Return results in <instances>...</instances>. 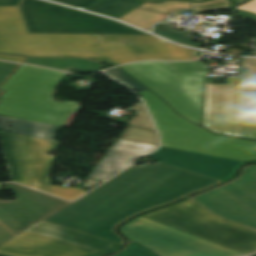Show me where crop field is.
Wrapping results in <instances>:
<instances>
[{"instance_id":"crop-field-32","label":"crop field","mask_w":256,"mask_h":256,"mask_svg":"<svg viewBox=\"0 0 256 256\" xmlns=\"http://www.w3.org/2000/svg\"><path fill=\"white\" fill-rule=\"evenodd\" d=\"M20 0H0V6H18Z\"/></svg>"},{"instance_id":"crop-field-7","label":"crop field","mask_w":256,"mask_h":256,"mask_svg":"<svg viewBox=\"0 0 256 256\" xmlns=\"http://www.w3.org/2000/svg\"><path fill=\"white\" fill-rule=\"evenodd\" d=\"M181 116L200 125L203 86L209 72L173 73L169 62H139L121 66Z\"/></svg>"},{"instance_id":"crop-field-16","label":"crop field","mask_w":256,"mask_h":256,"mask_svg":"<svg viewBox=\"0 0 256 256\" xmlns=\"http://www.w3.org/2000/svg\"><path fill=\"white\" fill-rule=\"evenodd\" d=\"M158 146L120 139L89 177L108 179Z\"/></svg>"},{"instance_id":"crop-field-12","label":"crop field","mask_w":256,"mask_h":256,"mask_svg":"<svg viewBox=\"0 0 256 256\" xmlns=\"http://www.w3.org/2000/svg\"><path fill=\"white\" fill-rule=\"evenodd\" d=\"M6 185L16 200L0 201V223L15 236L69 203L18 184Z\"/></svg>"},{"instance_id":"crop-field-10","label":"crop field","mask_w":256,"mask_h":256,"mask_svg":"<svg viewBox=\"0 0 256 256\" xmlns=\"http://www.w3.org/2000/svg\"><path fill=\"white\" fill-rule=\"evenodd\" d=\"M120 230L129 240H138L161 256L244 255L140 216L123 224Z\"/></svg>"},{"instance_id":"crop-field-28","label":"crop field","mask_w":256,"mask_h":256,"mask_svg":"<svg viewBox=\"0 0 256 256\" xmlns=\"http://www.w3.org/2000/svg\"><path fill=\"white\" fill-rule=\"evenodd\" d=\"M237 10H241L244 12H248V13H255L256 14V0H251L241 6H239L238 8H236Z\"/></svg>"},{"instance_id":"crop-field-30","label":"crop field","mask_w":256,"mask_h":256,"mask_svg":"<svg viewBox=\"0 0 256 256\" xmlns=\"http://www.w3.org/2000/svg\"><path fill=\"white\" fill-rule=\"evenodd\" d=\"M0 130L10 132L9 118L0 116Z\"/></svg>"},{"instance_id":"crop-field-5","label":"crop field","mask_w":256,"mask_h":256,"mask_svg":"<svg viewBox=\"0 0 256 256\" xmlns=\"http://www.w3.org/2000/svg\"><path fill=\"white\" fill-rule=\"evenodd\" d=\"M141 216L244 254L256 251V231L223 220L189 199Z\"/></svg>"},{"instance_id":"crop-field-11","label":"crop field","mask_w":256,"mask_h":256,"mask_svg":"<svg viewBox=\"0 0 256 256\" xmlns=\"http://www.w3.org/2000/svg\"><path fill=\"white\" fill-rule=\"evenodd\" d=\"M215 215L256 230V165L224 186L190 198Z\"/></svg>"},{"instance_id":"crop-field-14","label":"crop field","mask_w":256,"mask_h":256,"mask_svg":"<svg viewBox=\"0 0 256 256\" xmlns=\"http://www.w3.org/2000/svg\"><path fill=\"white\" fill-rule=\"evenodd\" d=\"M0 254L8 256H92L107 253L26 230L1 246Z\"/></svg>"},{"instance_id":"crop-field-8","label":"crop field","mask_w":256,"mask_h":256,"mask_svg":"<svg viewBox=\"0 0 256 256\" xmlns=\"http://www.w3.org/2000/svg\"><path fill=\"white\" fill-rule=\"evenodd\" d=\"M0 138L12 181L66 200H75L87 192L71 187L52 186L48 181L54 156L44 154L49 150L57 149V142L13 135L2 131H0ZM32 182H37L35 187L31 186Z\"/></svg>"},{"instance_id":"crop-field-27","label":"crop field","mask_w":256,"mask_h":256,"mask_svg":"<svg viewBox=\"0 0 256 256\" xmlns=\"http://www.w3.org/2000/svg\"><path fill=\"white\" fill-rule=\"evenodd\" d=\"M21 65L0 61V85L13 74ZM2 91H0V95Z\"/></svg>"},{"instance_id":"crop-field-29","label":"crop field","mask_w":256,"mask_h":256,"mask_svg":"<svg viewBox=\"0 0 256 256\" xmlns=\"http://www.w3.org/2000/svg\"><path fill=\"white\" fill-rule=\"evenodd\" d=\"M4 228L0 225V246L14 238L7 230H5L6 228Z\"/></svg>"},{"instance_id":"crop-field-26","label":"crop field","mask_w":256,"mask_h":256,"mask_svg":"<svg viewBox=\"0 0 256 256\" xmlns=\"http://www.w3.org/2000/svg\"><path fill=\"white\" fill-rule=\"evenodd\" d=\"M174 72L210 71L203 62H170Z\"/></svg>"},{"instance_id":"crop-field-2","label":"crop field","mask_w":256,"mask_h":256,"mask_svg":"<svg viewBox=\"0 0 256 256\" xmlns=\"http://www.w3.org/2000/svg\"><path fill=\"white\" fill-rule=\"evenodd\" d=\"M0 53L78 56L109 64L192 60L195 50L172 43H98L97 35L28 34L19 7H0Z\"/></svg>"},{"instance_id":"crop-field-9","label":"crop field","mask_w":256,"mask_h":256,"mask_svg":"<svg viewBox=\"0 0 256 256\" xmlns=\"http://www.w3.org/2000/svg\"><path fill=\"white\" fill-rule=\"evenodd\" d=\"M20 9L29 33L149 35L117 21L42 0H23Z\"/></svg>"},{"instance_id":"crop-field-24","label":"crop field","mask_w":256,"mask_h":256,"mask_svg":"<svg viewBox=\"0 0 256 256\" xmlns=\"http://www.w3.org/2000/svg\"><path fill=\"white\" fill-rule=\"evenodd\" d=\"M105 72L114 79L124 83L125 85L129 86L130 88L136 91L148 90L118 67L110 69Z\"/></svg>"},{"instance_id":"crop-field-6","label":"crop field","mask_w":256,"mask_h":256,"mask_svg":"<svg viewBox=\"0 0 256 256\" xmlns=\"http://www.w3.org/2000/svg\"><path fill=\"white\" fill-rule=\"evenodd\" d=\"M201 126L256 140V91L236 89V78L226 85L205 84Z\"/></svg>"},{"instance_id":"crop-field-17","label":"crop field","mask_w":256,"mask_h":256,"mask_svg":"<svg viewBox=\"0 0 256 256\" xmlns=\"http://www.w3.org/2000/svg\"><path fill=\"white\" fill-rule=\"evenodd\" d=\"M27 230L107 253L115 251L122 246L121 244H117L111 241L93 237L87 234L76 232L42 221L38 222Z\"/></svg>"},{"instance_id":"crop-field-34","label":"crop field","mask_w":256,"mask_h":256,"mask_svg":"<svg viewBox=\"0 0 256 256\" xmlns=\"http://www.w3.org/2000/svg\"><path fill=\"white\" fill-rule=\"evenodd\" d=\"M166 16L172 17V15H165V16H162V17H159V18L154 19L153 23L159 21L160 19H162V18H164V17H166Z\"/></svg>"},{"instance_id":"crop-field-21","label":"crop field","mask_w":256,"mask_h":256,"mask_svg":"<svg viewBox=\"0 0 256 256\" xmlns=\"http://www.w3.org/2000/svg\"><path fill=\"white\" fill-rule=\"evenodd\" d=\"M122 138L158 145V136L156 133L130 126L126 128Z\"/></svg>"},{"instance_id":"crop-field-4","label":"crop field","mask_w":256,"mask_h":256,"mask_svg":"<svg viewBox=\"0 0 256 256\" xmlns=\"http://www.w3.org/2000/svg\"><path fill=\"white\" fill-rule=\"evenodd\" d=\"M139 95L145 99L161 134L162 146L246 162L256 160V142L214 135L174 113L150 91Z\"/></svg>"},{"instance_id":"crop-field-25","label":"crop field","mask_w":256,"mask_h":256,"mask_svg":"<svg viewBox=\"0 0 256 256\" xmlns=\"http://www.w3.org/2000/svg\"><path fill=\"white\" fill-rule=\"evenodd\" d=\"M130 110L137 111V118H132L129 123L130 125L154 130L142 101Z\"/></svg>"},{"instance_id":"crop-field-31","label":"crop field","mask_w":256,"mask_h":256,"mask_svg":"<svg viewBox=\"0 0 256 256\" xmlns=\"http://www.w3.org/2000/svg\"><path fill=\"white\" fill-rule=\"evenodd\" d=\"M27 59V57L0 55V60L18 61L24 63Z\"/></svg>"},{"instance_id":"crop-field-19","label":"crop field","mask_w":256,"mask_h":256,"mask_svg":"<svg viewBox=\"0 0 256 256\" xmlns=\"http://www.w3.org/2000/svg\"><path fill=\"white\" fill-rule=\"evenodd\" d=\"M25 63L68 71L69 68L83 71H100L101 63L81 58H29Z\"/></svg>"},{"instance_id":"crop-field-18","label":"crop field","mask_w":256,"mask_h":256,"mask_svg":"<svg viewBox=\"0 0 256 256\" xmlns=\"http://www.w3.org/2000/svg\"><path fill=\"white\" fill-rule=\"evenodd\" d=\"M11 133L55 141L56 133L63 127L51 126L34 121L10 118Z\"/></svg>"},{"instance_id":"crop-field-1","label":"crop field","mask_w":256,"mask_h":256,"mask_svg":"<svg viewBox=\"0 0 256 256\" xmlns=\"http://www.w3.org/2000/svg\"><path fill=\"white\" fill-rule=\"evenodd\" d=\"M215 183L159 164L134 165L42 221L123 244L113 231L122 220Z\"/></svg>"},{"instance_id":"crop-field-3","label":"crop field","mask_w":256,"mask_h":256,"mask_svg":"<svg viewBox=\"0 0 256 256\" xmlns=\"http://www.w3.org/2000/svg\"><path fill=\"white\" fill-rule=\"evenodd\" d=\"M65 72L22 65L1 86L0 114L63 126L75 102L52 101L53 88Z\"/></svg>"},{"instance_id":"crop-field-13","label":"crop field","mask_w":256,"mask_h":256,"mask_svg":"<svg viewBox=\"0 0 256 256\" xmlns=\"http://www.w3.org/2000/svg\"><path fill=\"white\" fill-rule=\"evenodd\" d=\"M148 157L183 170L220 181L232 176L244 162L222 159L196 152L160 147Z\"/></svg>"},{"instance_id":"crop-field-20","label":"crop field","mask_w":256,"mask_h":256,"mask_svg":"<svg viewBox=\"0 0 256 256\" xmlns=\"http://www.w3.org/2000/svg\"><path fill=\"white\" fill-rule=\"evenodd\" d=\"M256 59L242 58L241 66L246 67L245 73L239 76L238 88L256 90Z\"/></svg>"},{"instance_id":"crop-field-33","label":"crop field","mask_w":256,"mask_h":256,"mask_svg":"<svg viewBox=\"0 0 256 256\" xmlns=\"http://www.w3.org/2000/svg\"><path fill=\"white\" fill-rule=\"evenodd\" d=\"M234 1H236V4L233 6V8H235V7H237V5L244 3L246 1H249V0H234Z\"/></svg>"},{"instance_id":"crop-field-23","label":"crop field","mask_w":256,"mask_h":256,"mask_svg":"<svg viewBox=\"0 0 256 256\" xmlns=\"http://www.w3.org/2000/svg\"><path fill=\"white\" fill-rule=\"evenodd\" d=\"M113 256H160L137 241H130L128 247Z\"/></svg>"},{"instance_id":"crop-field-15","label":"crop field","mask_w":256,"mask_h":256,"mask_svg":"<svg viewBox=\"0 0 256 256\" xmlns=\"http://www.w3.org/2000/svg\"><path fill=\"white\" fill-rule=\"evenodd\" d=\"M232 2L229 0H211L205 2H188V1H177L169 0L163 1L161 3L145 2L140 5L135 10L125 14L119 19L126 21L130 24L136 25L138 27L150 30L153 17H159L168 14V8H223L231 9ZM237 12V11H236ZM240 15L253 16L251 14H246L238 12ZM256 17V16H254Z\"/></svg>"},{"instance_id":"crop-field-22","label":"crop field","mask_w":256,"mask_h":256,"mask_svg":"<svg viewBox=\"0 0 256 256\" xmlns=\"http://www.w3.org/2000/svg\"><path fill=\"white\" fill-rule=\"evenodd\" d=\"M99 42H168L154 36L98 35Z\"/></svg>"}]
</instances>
